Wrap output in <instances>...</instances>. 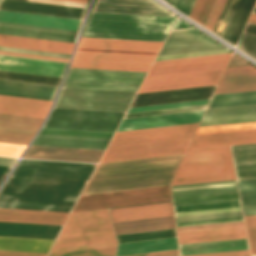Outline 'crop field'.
Masks as SVG:
<instances>
[{"label": "crop field", "mask_w": 256, "mask_h": 256, "mask_svg": "<svg viewBox=\"0 0 256 256\" xmlns=\"http://www.w3.org/2000/svg\"><path fill=\"white\" fill-rule=\"evenodd\" d=\"M112 222L173 215L171 202L109 209Z\"/></svg>", "instance_id": "d32e631a"}, {"label": "crop field", "mask_w": 256, "mask_h": 256, "mask_svg": "<svg viewBox=\"0 0 256 256\" xmlns=\"http://www.w3.org/2000/svg\"><path fill=\"white\" fill-rule=\"evenodd\" d=\"M207 105L126 114L124 119L205 110Z\"/></svg>", "instance_id": "425ffa30"}, {"label": "crop field", "mask_w": 256, "mask_h": 256, "mask_svg": "<svg viewBox=\"0 0 256 256\" xmlns=\"http://www.w3.org/2000/svg\"><path fill=\"white\" fill-rule=\"evenodd\" d=\"M222 71L223 69L145 77L138 93L216 84Z\"/></svg>", "instance_id": "bc2a9ffb"}, {"label": "crop field", "mask_w": 256, "mask_h": 256, "mask_svg": "<svg viewBox=\"0 0 256 256\" xmlns=\"http://www.w3.org/2000/svg\"><path fill=\"white\" fill-rule=\"evenodd\" d=\"M251 254H256V216L244 217Z\"/></svg>", "instance_id": "dbb93151"}, {"label": "crop field", "mask_w": 256, "mask_h": 256, "mask_svg": "<svg viewBox=\"0 0 256 256\" xmlns=\"http://www.w3.org/2000/svg\"><path fill=\"white\" fill-rule=\"evenodd\" d=\"M209 99L129 108L127 113L207 104Z\"/></svg>", "instance_id": "25e5ab78"}, {"label": "crop field", "mask_w": 256, "mask_h": 256, "mask_svg": "<svg viewBox=\"0 0 256 256\" xmlns=\"http://www.w3.org/2000/svg\"><path fill=\"white\" fill-rule=\"evenodd\" d=\"M11 170V168L8 167H0V173L8 174V172Z\"/></svg>", "instance_id": "ae633e8c"}, {"label": "crop field", "mask_w": 256, "mask_h": 256, "mask_svg": "<svg viewBox=\"0 0 256 256\" xmlns=\"http://www.w3.org/2000/svg\"><path fill=\"white\" fill-rule=\"evenodd\" d=\"M0 21L77 31L81 20L0 11Z\"/></svg>", "instance_id": "730fd06b"}, {"label": "crop field", "mask_w": 256, "mask_h": 256, "mask_svg": "<svg viewBox=\"0 0 256 256\" xmlns=\"http://www.w3.org/2000/svg\"><path fill=\"white\" fill-rule=\"evenodd\" d=\"M43 119L0 114V142L28 145Z\"/></svg>", "instance_id": "92a150f3"}, {"label": "crop field", "mask_w": 256, "mask_h": 256, "mask_svg": "<svg viewBox=\"0 0 256 256\" xmlns=\"http://www.w3.org/2000/svg\"><path fill=\"white\" fill-rule=\"evenodd\" d=\"M251 256H256V255H251Z\"/></svg>", "instance_id": "fb207236"}, {"label": "crop field", "mask_w": 256, "mask_h": 256, "mask_svg": "<svg viewBox=\"0 0 256 256\" xmlns=\"http://www.w3.org/2000/svg\"><path fill=\"white\" fill-rule=\"evenodd\" d=\"M244 249H249L246 239L179 245L180 256Z\"/></svg>", "instance_id": "b80d0937"}, {"label": "crop field", "mask_w": 256, "mask_h": 256, "mask_svg": "<svg viewBox=\"0 0 256 256\" xmlns=\"http://www.w3.org/2000/svg\"><path fill=\"white\" fill-rule=\"evenodd\" d=\"M248 22L256 24V14L252 13Z\"/></svg>", "instance_id": "d14b1444"}, {"label": "crop field", "mask_w": 256, "mask_h": 256, "mask_svg": "<svg viewBox=\"0 0 256 256\" xmlns=\"http://www.w3.org/2000/svg\"><path fill=\"white\" fill-rule=\"evenodd\" d=\"M0 50L23 52V53H31V54H40V55H48V56H57V57H65V58H69L70 57V55H67V54L50 53V52H42V51H33V50L8 48V47H0Z\"/></svg>", "instance_id": "1d79db26"}, {"label": "crop field", "mask_w": 256, "mask_h": 256, "mask_svg": "<svg viewBox=\"0 0 256 256\" xmlns=\"http://www.w3.org/2000/svg\"><path fill=\"white\" fill-rule=\"evenodd\" d=\"M256 6V5H255Z\"/></svg>", "instance_id": "7312dd0a"}, {"label": "crop field", "mask_w": 256, "mask_h": 256, "mask_svg": "<svg viewBox=\"0 0 256 256\" xmlns=\"http://www.w3.org/2000/svg\"><path fill=\"white\" fill-rule=\"evenodd\" d=\"M229 148L236 179L256 177V144Z\"/></svg>", "instance_id": "028f5c9d"}, {"label": "crop field", "mask_w": 256, "mask_h": 256, "mask_svg": "<svg viewBox=\"0 0 256 256\" xmlns=\"http://www.w3.org/2000/svg\"><path fill=\"white\" fill-rule=\"evenodd\" d=\"M234 179L227 147L188 150L171 185Z\"/></svg>", "instance_id": "d8731c3e"}, {"label": "crop field", "mask_w": 256, "mask_h": 256, "mask_svg": "<svg viewBox=\"0 0 256 256\" xmlns=\"http://www.w3.org/2000/svg\"><path fill=\"white\" fill-rule=\"evenodd\" d=\"M176 226L243 220L238 200L174 206ZM179 244L246 238L243 221L176 227Z\"/></svg>", "instance_id": "8a807250"}, {"label": "crop field", "mask_w": 256, "mask_h": 256, "mask_svg": "<svg viewBox=\"0 0 256 256\" xmlns=\"http://www.w3.org/2000/svg\"><path fill=\"white\" fill-rule=\"evenodd\" d=\"M5 177H6V175L0 174V184L4 180Z\"/></svg>", "instance_id": "c5b07064"}, {"label": "crop field", "mask_w": 256, "mask_h": 256, "mask_svg": "<svg viewBox=\"0 0 256 256\" xmlns=\"http://www.w3.org/2000/svg\"><path fill=\"white\" fill-rule=\"evenodd\" d=\"M244 216L256 215V178L236 180Z\"/></svg>", "instance_id": "03da06ac"}, {"label": "crop field", "mask_w": 256, "mask_h": 256, "mask_svg": "<svg viewBox=\"0 0 256 256\" xmlns=\"http://www.w3.org/2000/svg\"><path fill=\"white\" fill-rule=\"evenodd\" d=\"M171 201L169 186L81 196L73 212Z\"/></svg>", "instance_id": "28ad6ade"}, {"label": "crop field", "mask_w": 256, "mask_h": 256, "mask_svg": "<svg viewBox=\"0 0 256 256\" xmlns=\"http://www.w3.org/2000/svg\"><path fill=\"white\" fill-rule=\"evenodd\" d=\"M0 54L13 55V56H22V57H30V58H39V59H47V60H56V61H64V62H68V60H69V59H65V58L48 57V56H40V55H31V54L6 52V51H0Z\"/></svg>", "instance_id": "9d1cf04e"}, {"label": "crop field", "mask_w": 256, "mask_h": 256, "mask_svg": "<svg viewBox=\"0 0 256 256\" xmlns=\"http://www.w3.org/2000/svg\"><path fill=\"white\" fill-rule=\"evenodd\" d=\"M204 111L123 120L117 131L199 122Z\"/></svg>", "instance_id": "750c4746"}, {"label": "crop field", "mask_w": 256, "mask_h": 256, "mask_svg": "<svg viewBox=\"0 0 256 256\" xmlns=\"http://www.w3.org/2000/svg\"><path fill=\"white\" fill-rule=\"evenodd\" d=\"M95 165L20 160L12 175L88 180Z\"/></svg>", "instance_id": "5142ce71"}, {"label": "crop field", "mask_w": 256, "mask_h": 256, "mask_svg": "<svg viewBox=\"0 0 256 256\" xmlns=\"http://www.w3.org/2000/svg\"><path fill=\"white\" fill-rule=\"evenodd\" d=\"M256 0H196L189 15L199 24L234 44L237 42Z\"/></svg>", "instance_id": "e52e79f7"}, {"label": "crop field", "mask_w": 256, "mask_h": 256, "mask_svg": "<svg viewBox=\"0 0 256 256\" xmlns=\"http://www.w3.org/2000/svg\"><path fill=\"white\" fill-rule=\"evenodd\" d=\"M115 248L116 247L70 252V253H61V254H53L48 256H114Z\"/></svg>", "instance_id": "1f2cbd36"}, {"label": "crop field", "mask_w": 256, "mask_h": 256, "mask_svg": "<svg viewBox=\"0 0 256 256\" xmlns=\"http://www.w3.org/2000/svg\"><path fill=\"white\" fill-rule=\"evenodd\" d=\"M26 146L0 143V155L19 157Z\"/></svg>", "instance_id": "0fb4a251"}, {"label": "crop field", "mask_w": 256, "mask_h": 256, "mask_svg": "<svg viewBox=\"0 0 256 256\" xmlns=\"http://www.w3.org/2000/svg\"><path fill=\"white\" fill-rule=\"evenodd\" d=\"M176 236L175 229L116 236L119 243Z\"/></svg>", "instance_id": "d23c7cc5"}, {"label": "crop field", "mask_w": 256, "mask_h": 256, "mask_svg": "<svg viewBox=\"0 0 256 256\" xmlns=\"http://www.w3.org/2000/svg\"><path fill=\"white\" fill-rule=\"evenodd\" d=\"M77 32L1 23L0 34L73 42Z\"/></svg>", "instance_id": "120bbe31"}, {"label": "crop field", "mask_w": 256, "mask_h": 256, "mask_svg": "<svg viewBox=\"0 0 256 256\" xmlns=\"http://www.w3.org/2000/svg\"><path fill=\"white\" fill-rule=\"evenodd\" d=\"M87 181L10 176L0 208L71 212Z\"/></svg>", "instance_id": "ac0d7876"}, {"label": "crop field", "mask_w": 256, "mask_h": 256, "mask_svg": "<svg viewBox=\"0 0 256 256\" xmlns=\"http://www.w3.org/2000/svg\"><path fill=\"white\" fill-rule=\"evenodd\" d=\"M146 73L70 68L63 87L136 91Z\"/></svg>", "instance_id": "3316defc"}, {"label": "crop field", "mask_w": 256, "mask_h": 256, "mask_svg": "<svg viewBox=\"0 0 256 256\" xmlns=\"http://www.w3.org/2000/svg\"><path fill=\"white\" fill-rule=\"evenodd\" d=\"M163 1L167 2V3L170 4V5H173V3H174L175 0H163ZM174 4H175V3H174ZM173 6H174V5H173Z\"/></svg>", "instance_id": "c39391a2"}, {"label": "crop field", "mask_w": 256, "mask_h": 256, "mask_svg": "<svg viewBox=\"0 0 256 256\" xmlns=\"http://www.w3.org/2000/svg\"><path fill=\"white\" fill-rule=\"evenodd\" d=\"M256 103V91L214 95L208 108Z\"/></svg>", "instance_id": "b54c1fbb"}, {"label": "crop field", "mask_w": 256, "mask_h": 256, "mask_svg": "<svg viewBox=\"0 0 256 256\" xmlns=\"http://www.w3.org/2000/svg\"><path fill=\"white\" fill-rule=\"evenodd\" d=\"M124 113L53 108L44 127L115 131Z\"/></svg>", "instance_id": "22f410ed"}, {"label": "crop field", "mask_w": 256, "mask_h": 256, "mask_svg": "<svg viewBox=\"0 0 256 256\" xmlns=\"http://www.w3.org/2000/svg\"><path fill=\"white\" fill-rule=\"evenodd\" d=\"M190 140L107 148L100 163L184 153Z\"/></svg>", "instance_id": "4a817a6b"}, {"label": "crop field", "mask_w": 256, "mask_h": 256, "mask_svg": "<svg viewBox=\"0 0 256 256\" xmlns=\"http://www.w3.org/2000/svg\"><path fill=\"white\" fill-rule=\"evenodd\" d=\"M66 1H74V2H82V3H86L87 0H66Z\"/></svg>", "instance_id": "ade564c9"}, {"label": "crop field", "mask_w": 256, "mask_h": 256, "mask_svg": "<svg viewBox=\"0 0 256 256\" xmlns=\"http://www.w3.org/2000/svg\"><path fill=\"white\" fill-rule=\"evenodd\" d=\"M103 150L30 146L23 158L97 163Z\"/></svg>", "instance_id": "00972430"}, {"label": "crop field", "mask_w": 256, "mask_h": 256, "mask_svg": "<svg viewBox=\"0 0 256 256\" xmlns=\"http://www.w3.org/2000/svg\"><path fill=\"white\" fill-rule=\"evenodd\" d=\"M231 53L154 62L147 76L224 68Z\"/></svg>", "instance_id": "214f88e0"}, {"label": "crop field", "mask_w": 256, "mask_h": 256, "mask_svg": "<svg viewBox=\"0 0 256 256\" xmlns=\"http://www.w3.org/2000/svg\"><path fill=\"white\" fill-rule=\"evenodd\" d=\"M177 249L176 237L119 244L116 256Z\"/></svg>", "instance_id": "c035e120"}, {"label": "crop field", "mask_w": 256, "mask_h": 256, "mask_svg": "<svg viewBox=\"0 0 256 256\" xmlns=\"http://www.w3.org/2000/svg\"><path fill=\"white\" fill-rule=\"evenodd\" d=\"M236 47L256 60V35L243 32Z\"/></svg>", "instance_id": "73cf0c24"}, {"label": "crop field", "mask_w": 256, "mask_h": 256, "mask_svg": "<svg viewBox=\"0 0 256 256\" xmlns=\"http://www.w3.org/2000/svg\"><path fill=\"white\" fill-rule=\"evenodd\" d=\"M135 92L63 88L54 107L126 112Z\"/></svg>", "instance_id": "5a996713"}, {"label": "crop field", "mask_w": 256, "mask_h": 256, "mask_svg": "<svg viewBox=\"0 0 256 256\" xmlns=\"http://www.w3.org/2000/svg\"><path fill=\"white\" fill-rule=\"evenodd\" d=\"M116 235L175 228L173 216L112 223Z\"/></svg>", "instance_id": "0bd39190"}, {"label": "crop field", "mask_w": 256, "mask_h": 256, "mask_svg": "<svg viewBox=\"0 0 256 256\" xmlns=\"http://www.w3.org/2000/svg\"><path fill=\"white\" fill-rule=\"evenodd\" d=\"M64 63L0 55V70L59 76Z\"/></svg>", "instance_id": "4177f3b9"}, {"label": "crop field", "mask_w": 256, "mask_h": 256, "mask_svg": "<svg viewBox=\"0 0 256 256\" xmlns=\"http://www.w3.org/2000/svg\"><path fill=\"white\" fill-rule=\"evenodd\" d=\"M195 0H176L173 7L189 15Z\"/></svg>", "instance_id": "447ae74e"}, {"label": "crop field", "mask_w": 256, "mask_h": 256, "mask_svg": "<svg viewBox=\"0 0 256 256\" xmlns=\"http://www.w3.org/2000/svg\"><path fill=\"white\" fill-rule=\"evenodd\" d=\"M62 226L0 222V236L56 239Z\"/></svg>", "instance_id": "5866460e"}, {"label": "crop field", "mask_w": 256, "mask_h": 256, "mask_svg": "<svg viewBox=\"0 0 256 256\" xmlns=\"http://www.w3.org/2000/svg\"><path fill=\"white\" fill-rule=\"evenodd\" d=\"M228 52L198 30L191 29L170 32L156 61Z\"/></svg>", "instance_id": "d1516ede"}, {"label": "crop field", "mask_w": 256, "mask_h": 256, "mask_svg": "<svg viewBox=\"0 0 256 256\" xmlns=\"http://www.w3.org/2000/svg\"><path fill=\"white\" fill-rule=\"evenodd\" d=\"M216 85L136 94L130 107L210 98Z\"/></svg>", "instance_id": "dafd665d"}, {"label": "crop field", "mask_w": 256, "mask_h": 256, "mask_svg": "<svg viewBox=\"0 0 256 256\" xmlns=\"http://www.w3.org/2000/svg\"><path fill=\"white\" fill-rule=\"evenodd\" d=\"M254 128H256V122L198 128L196 134L232 131V130H243V129H254Z\"/></svg>", "instance_id": "89e229c0"}, {"label": "crop field", "mask_w": 256, "mask_h": 256, "mask_svg": "<svg viewBox=\"0 0 256 256\" xmlns=\"http://www.w3.org/2000/svg\"><path fill=\"white\" fill-rule=\"evenodd\" d=\"M59 86L0 80V95L53 101Z\"/></svg>", "instance_id": "d3111659"}, {"label": "crop field", "mask_w": 256, "mask_h": 256, "mask_svg": "<svg viewBox=\"0 0 256 256\" xmlns=\"http://www.w3.org/2000/svg\"><path fill=\"white\" fill-rule=\"evenodd\" d=\"M256 121V104L207 109L199 127Z\"/></svg>", "instance_id": "a9b5d70f"}, {"label": "crop field", "mask_w": 256, "mask_h": 256, "mask_svg": "<svg viewBox=\"0 0 256 256\" xmlns=\"http://www.w3.org/2000/svg\"><path fill=\"white\" fill-rule=\"evenodd\" d=\"M75 44L0 35V46L71 54Z\"/></svg>", "instance_id": "e1f06a70"}, {"label": "crop field", "mask_w": 256, "mask_h": 256, "mask_svg": "<svg viewBox=\"0 0 256 256\" xmlns=\"http://www.w3.org/2000/svg\"><path fill=\"white\" fill-rule=\"evenodd\" d=\"M256 143V129L195 135L189 148Z\"/></svg>", "instance_id": "ae1a2a85"}, {"label": "crop field", "mask_w": 256, "mask_h": 256, "mask_svg": "<svg viewBox=\"0 0 256 256\" xmlns=\"http://www.w3.org/2000/svg\"><path fill=\"white\" fill-rule=\"evenodd\" d=\"M107 209L71 213L50 254L116 246Z\"/></svg>", "instance_id": "dd49c442"}, {"label": "crop field", "mask_w": 256, "mask_h": 256, "mask_svg": "<svg viewBox=\"0 0 256 256\" xmlns=\"http://www.w3.org/2000/svg\"><path fill=\"white\" fill-rule=\"evenodd\" d=\"M0 78L59 85L62 78L0 71Z\"/></svg>", "instance_id": "5d738f31"}, {"label": "crop field", "mask_w": 256, "mask_h": 256, "mask_svg": "<svg viewBox=\"0 0 256 256\" xmlns=\"http://www.w3.org/2000/svg\"><path fill=\"white\" fill-rule=\"evenodd\" d=\"M16 159L0 157V166L13 167Z\"/></svg>", "instance_id": "78b8030e"}, {"label": "crop field", "mask_w": 256, "mask_h": 256, "mask_svg": "<svg viewBox=\"0 0 256 256\" xmlns=\"http://www.w3.org/2000/svg\"><path fill=\"white\" fill-rule=\"evenodd\" d=\"M183 156L99 164L83 195L169 185Z\"/></svg>", "instance_id": "34b2d1b8"}, {"label": "crop field", "mask_w": 256, "mask_h": 256, "mask_svg": "<svg viewBox=\"0 0 256 256\" xmlns=\"http://www.w3.org/2000/svg\"><path fill=\"white\" fill-rule=\"evenodd\" d=\"M256 90V68L253 66L227 68L215 93Z\"/></svg>", "instance_id": "eef30255"}, {"label": "crop field", "mask_w": 256, "mask_h": 256, "mask_svg": "<svg viewBox=\"0 0 256 256\" xmlns=\"http://www.w3.org/2000/svg\"><path fill=\"white\" fill-rule=\"evenodd\" d=\"M253 12L256 13V7L254 8Z\"/></svg>", "instance_id": "c3a83c6f"}, {"label": "crop field", "mask_w": 256, "mask_h": 256, "mask_svg": "<svg viewBox=\"0 0 256 256\" xmlns=\"http://www.w3.org/2000/svg\"><path fill=\"white\" fill-rule=\"evenodd\" d=\"M0 256H46V254L0 251Z\"/></svg>", "instance_id": "db79e9e6"}, {"label": "crop field", "mask_w": 256, "mask_h": 256, "mask_svg": "<svg viewBox=\"0 0 256 256\" xmlns=\"http://www.w3.org/2000/svg\"><path fill=\"white\" fill-rule=\"evenodd\" d=\"M175 20L91 12L82 37L164 42Z\"/></svg>", "instance_id": "f4fd0767"}, {"label": "crop field", "mask_w": 256, "mask_h": 256, "mask_svg": "<svg viewBox=\"0 0 256 256\" xmlns=\"http://www.w3.org/2000/svg\"><path fill=\"white\" fill-rule=\"evenodd\" d=\"M198 123L115 132L108 147L191 138Z\"/></svg>", "instance_id": "733c2abd"}, {"label": "crop field", "mask_w": 256, "mask_h": 256, "mask_svg": "<svg viewBox=\"0 0 256 256\" xmlns=\"http://www.w3.org/2000/svg\"><path fill=\"white\" fill-rule=\"evenodd\" d=\"M244 31L256 34V25L248 23Z\"/></svg>", "instance_id": "e1d0b9f6"}, {"label": "crop field", "mask_w": 256, "mask_h": 256, "mask_svg": "<svg viewBox=\"0 0 256 256\" xmlns=\"http://www.w3.org/2000/svg\"><path fill=\"white\" fill-rule=\"evenodd\" d=\"M191 26H189L188 24L184 23L183 21L181 20H177L173 30L175 29H182V28H190Z\"/></svg>", "instance_id": "0f1d7ab4"}, {"label": "crop field", "mask_w": 256, "mask_h": 256, "mask_svg": "<svg viewBox=\"0 0 256 256\" xmlns=\"http://www.w3.org/2000/svg\"><path fill=\"white\" fill-rule=\"evenodd\" d=\"M113 132L42 128L32 145L105 149Z\"/></svg>", "instance_id": "cbeb9de0"}, {"label": "crop field", "mask_w": 256, "mask_h": 256, "mask_svg": "<svg viewBox=\"0 0 256 256\" xmlns=\"http://www.w3.org/2000/svg\"><path fill=\"white\" fill-rule=\"evenodd\" d=\"M161 45L82 38L70 67L147 72Z\"/></svg>", "instance_id": "412701ff"}, {"label": "crop field", "mask_w": 256, "mask_h": 256, "mask_svg": "<svg viewBox=\"0 0 256 256\" xmlns=\"http://www.w3.org/2000/svg\"><path fill=\"white\" fill-rule=\"evenodd\" d=\"M129 256H178V252L177 250H173V251L155 252V253L129 255Z\"/></svg>", "instance_id": "7b73153f"}, {"label": "crop field", "mask_w": 256, "mask_h": 256, "mask_svg": "<svg viewBox=\"0 0 256 256\" xmlns=\"http://www.w3.org/2000/svg\"><path fill=\"white\" fill-rule=\"evenodd\" d=\"M54 240L0 237V250L48 253Z\"/></svg>", "instance_id": "c21b1889"}, {"label": "crop field", "mask_w": 256, "mask_h": 256, "mask_svg": "<svg viewBox=\"0 0 256 256\" xmlns=\"http://www.w3.org/2000/svg\"><path fill=\"white\" fill-rule=\"evenodd\" d=\"M174 205L238 199L234 181L171 186Z\"/></svg>", "instance_id": "d9b57169"}, {"label": "crop field", "mask_w": 256, "mask_h": 256, "mask_svg": "<svg viewBox=\"0 0 256 256\" xmlns=\"http://www.w3.org/2000/svg\"><path fill=\"white\" fill-rule=\"evenodd\" d=\"M195 256H250L249 250L245 251H235V252H225V253H215V254H205V255H195Z\"/></svg>", "instance_id": "0765c3eb"}, {"label": "crop field", "mask_w": 256, "mask_h": 256, "mask_svg": "<svg viewBox=\"0 0 256 256\" xmlns=\"http://www.w3.org/2000/svg\"><path fill=\"white\" fill-rule=\"evenodd\" d=\"M69 213L0 209V221L64 225Z\"/></svg>", "instance_id": "1d83c4d3"}, {"label": "crop field", "mask_w": 256, "mask_h": 256, "mask_svg": "<svg viewBox=\"0 0 256 256\" xmlns=\"http://www.w3.org/2000/svg\"><path fill=\"white\" fill-rule=\"evenodd\" d=\"M52 102L0 96V113L45 118Z\"/></svg>", "instance_id": "bd1437ed"}]
</instances>
